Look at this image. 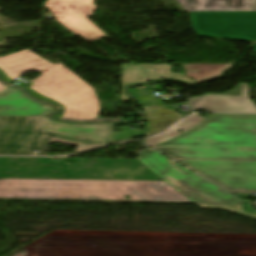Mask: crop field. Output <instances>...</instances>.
I'll use <instances>...</instances> for the list:
<instances>
[{
	"instance_id": "2",
	"label": "crop field",
	"mask_w": 256,
	"mask_h": 256,
	"mask_svg": "<svg viewBox=\"0 0 256 256\" xmlns=\"http://www.w3.org/2000/svg\"><path fill=\"white\" fill-rule=\"evenodd\" d=\"M152 148L172 159L256 160V115L216 114Z\"/></svg>"
},
{
	"instance_id": "19",
	"label": "crop field",
	"mask_w": 256,
	"mask_h": 256,
	"mask_svg": "<svg viewBox=\"0 0 256 256\" xmlns=\"http://www.w3.org/2000/svg\"><path fill=\"white\" fill-rule=\"evenodd\" d=\"M0 79H1V80H4V81H8V82H10L11 80H13V79H11L10 77H8V76L4 73V71H3L2 69H0Z\"/></svg>"
},
{
	"instance_id": "11",
	"label": "crop field",
	"mask_w": 256,
	"mask_h": 256,
	"mask_svg": "<svg viewBox=\"0 0 256 256\" xmlns=\"http://www.w3.org/2000/svg\"><path fill=\"white\" fill-rule=\"evenodd\" d=\"M161 79H177L192 84L196 82L183 74L171 72L169 64H121V101L130 100L123 93L124 86Z\"/></svg>"
},
{
	"instance_id": "20",
	"label": "crop field",
	"mask_w": 256,
	"mask_h": 256,
	"mask_svg": "<svg viewBox=\"0 0 256 256\" xmlns=\"http://www.w3.org/2000/svg\"><path fill=\"white\" fill-rule=\"evenodd\" d=\"M7 87L9 86L6 84L0 83V91L6 89Z\"/></svg>"
},
{
	"instance_id": "7",
	"label": "crop field",
	"mask_w": 256,
	"mask_h": 256,
	"mask_svg": "<svg viewBox=\"0 0 256 256\" xmlns=\"http://www.w3.org/2000/svg\"><path fill=\"white\" fill-rule=\"evenodd\" d=\"M176 161L229 192L256 193V161Z\"/></svg>"
},
{
	"instance_id": "18",
	"label": "crop field",
	"mask_w": 256,
	"mask_h": 256,
	"mask_svg": "<svg viewBox=\"0 0 256 256\" xmlns=\"http://www.w3.org/2000/svg\"><path fill=\"white\" fill-rule=\"evenodd\" d=\"M143 130L113 132L111 140H129L131 137L139 136Z\"/></svg>"
},
{
	"instance_id": "4",
	"label": "crop field",
	"mask_w": 256,
	"mask_h": 256,
	"mask_svg": "<svg viewBox=\"0 0 256 256\" xmlns=\"http://www.w3.org/2000/svg\"><path fill=\"white\" fill-rule=\"evenodd\" d=\"M0 178L159 180L137 159L0 157Z\"/></svg>"
},
{
	"instance_id": "5",
	"label": "crop field",
	"mask_w": 256,
	"mask_h": 256,
	"mask_svg": "<svg viewBox=\"0 0 256 256\" xmlns=\"http://www.w3.org/2000/svg\"><path fill=\"white\" fill-rule=\"evenodd\" d=\"M139 160L164 182L202 208L221 209L256 220V213L243 209L244 202L187 171L153 150L137 152Z\"/></svg>"
},
{
	"instance_id": "8",
	"label": "crop field",
	"mask_w": 256,
	"mask_h": 256,
	"mask_svg": "<svg viewBox=\"0 0 256 256\" xmlns=\"http://www.w3.org/2000/svg\"><path fill=\"white\" fill-rule=\"evenodd\" d=\"M198 36L256 40V12H189Z\"/></svg>"
},
{
	"instance_id": "9",
	"label": "crop field",
	"mask_w": 256,
	"mask_h": 256,
	"mask_svg": "<svg viewBox=\"0 0 256 256\" xmlns=\"http://www.w3.org/2000/svg\"><path fill=\"white\" fill-rule=\"evenodd\" d=\"M45 6L54 14L56 21L75 35L80 34L88 41L107 37L86 18L92 16L97 8L93 0H48Z\"/></svg>"
},
{
	"instance_id": "17",
	"label": "crop field",
	"mask_w": 256,
	"mask_h": 256,
	"mask_svg": "<svg viewBox=\"0 0 256 256\" xmlns=\"http://www.w3.org/2000/svg\"><path fill=\"white\" fill-rule=\"evenodd\" d=\"M24 90H25L26 93L30 94L32 97H35V98L44 100V101H46V102H48V103H51V104L57 106V107L59 108V111H58L54 116H55V118L58 119V120L61 119V117H62V115H63V113H64V110H65V107H64L63 105H61V104H59V103H57V102H55V101H53V100H50V99H48V98H45V97H43V96L37 94L35 91H33V90H32L31 88H29V87L25 88Z\"/></svg>"
},
{
	"instance_id": "6",
	"label": "crop field",
	"mask_w": 256,
	"mask_h": 256,
	"mask_svg": "<svg viewBox=\"0 0 256 256\" xmlns=\"http://www.w3.org/2000/svg\"><path fill=\"white\" fill-rule=\"evenodd\" d=\"M37 123L32 117L0 116V154L33 155V150H39L37 155H45L51 142L77 145L76 153L116 142H87L57 135L43 131Z\"/></svg>"
},
{
	"instance_id": "22",
	"label": "crop field",
	"mask_w": 256,
	"mask_h": 256,
	"mask_svg": "<svg viewBox=\"0 0 256 256\" xmlns=\"http://www.w3.org/2000/svg\"><path fill=\"white\" fill-rule=\"evenodd\" d=\"M252 10H256V2H255V4H254Z\"/></svg>"
},
{
	"instance_id": "10",
	"label": "crop field",
	"mask_w": 256,
	"mask_h": 256,
	"mask_svg": "<svg viewBox=\"0 0 256 256\" xmlns=\"http://www.w3.org/2000/svg\"><path fill=\"white\" fill-rule=\"evenodd\" d=\"M192 111H236L256 112V106L248 99V85L239 83L226 93H207L200 97L187 99Z\"/></svg>"
},
{
	"instance_id": "21",
	"label": "crop field",
	"mask_w": 256,
	"mask_h": 256,
	"mask_svg": "<svg viewBox=\"0 0 256 256\" xmlns=\"http://www.w3.org/2000/svg\"><path fill=\"white\" fill-rule=\"evenodd\" d=\"M253 48H254V52H255V54H256V43L255 44H253V46H252Z\"/></svg>"
},
{
	"instance_id": "14",
	"label": "crop field",
	"mask_w": 256,
	"mask_h": 256,
	"mask_svg": "<svg viewBox=\"0 0 256 256\" xmlns=\"http://www.w3.org/2000/svg\"><path fill=\"white\" fill-rule=\"evenodd\" d=\"M187 11H250L255 0H176Z\"/></svg>"
},
{
	"instance_id": "1",
	"label": "crop field",
	"mask_w": 256,
	"mask_h": 256,
	"mask_svg": "<svg viewBox=\"0 0 256 256\" xmlns=\"http://www.w3.org/2000/svg\"><path fill=\"white\" fill-rule=\"evenodd\" d=\"M180 194L162 181L0 180V200L9 201L193 203Z\"/></svg>"
},
{
	"instance_id": "12",
	"label": "crop field",
	"mask_w": 256,
	"mask_h": 256,
	"mask_svg": "<svg viewBox=\"0 0 256 256\" xmlns=\"http://www.w3.org/2000/svg\"><path fill=\"white\" fill-rule=\"evenodd\" d=\"M40 127L44 130L84 139L87 141L110 140L114 124H68L58 123L46 116L35 117Z\"/></svg>"
},
{
	"instance_id": "15",
	"label": "crop field",
	"mask_w": 256,
	"mask_h": 256,
	"mask_svg": "<svg viewBox=\"0 0 256 256\" xmlns=\"http://www.w3.org/2000/svg\"><path fill=\"white\" fill-rule=\"evenodd\" d=\"M145 111L147 117V128L144 136L155 135L165 128L184 118L179 113L169 108L162 107H140Z\"/></svg>"
},
{
	"instance_id": "3",
	"label": "crop field",
	"mask_w": 256,
	"mask_h": 256,
	"mask_svg": "<svg viewBox=\"0 0 256 256\" xmlns=\"http://www.w3.org/2000/svg\"><path fill=\"white\" fill-rule=\"evenodd\" d=\"M0 67L13 79L28 70H36L42 73L39 77L30 81L33 83L30 87L39 94L53 99L66 107L61 121L122 120V118L97 119L99 105L92 87L61 63L53 65L26 49L0 58Z\"/></svg>"
},
{
	"instance_id": "13",
	"label": "crop field",
	"mask_w": 256,
	"mask_h": 256,
	"mask_svg": "<svg viewBox=\"0 0 256 256\" xmlns=\"http://www.w3.org/2000/svg\"><path fill=\"white\" fill-rule=\"evenodd\" d=\"M52 111V107L28 98L15 87L0 93V115L31 116Z\"/></svg>"
},
{
	"instance_id": "16",
	"label": "crop field",
	"mask_w": 256,
	"mask_h": 256,
	"mask_svg": "<svg viewBox=\"0 0 256 256\" xmlns=\"http://www.w3.org/2000/svg\"><path fill=\"white\" fill-rule=\"evenodd\" d=\"M215 113H212L210 114L209 116L205 117V118H202L200 116H197V115H193L189 118H187L186 120H184L183 122H181L180 124H178L177 126H175L174 128H172L171 130H169L168 132L158 136V137H153V138H150V139H146L144 140L145 142V146H148V147H152L154 145H157L169 138H172L174 136H177L179 135L180 133H182L183 131L191 128L192 126L198 124L199 122L207 119L208 117L214 115ZM181 129L182 132H177V130ZM184 133V132H183Z\"/></svg>"
}]
</instances>
